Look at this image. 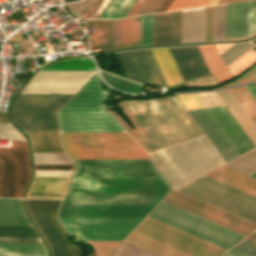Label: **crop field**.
I'll use <instances>...</instances> for the list:
<instances>
[{
  "mask_svg": "<svg viewBox=\"0 0 256 256\" xmlns=\"http://www.w3.org/2000/svg\"><path fill=\"white\" fill-rule=\"evenodd\" d=\"M65 193H169L172 186L152 160H72Z\"/></svg>",
  "mask_w": 256,
  "mask_h": 256,
  "instance_id": "obj_1",
  "label": "crop field"
},
{
  "mask_svg": "<svg viewBox=\"0 0 256 256\" xmlns=\"http://www.w3.org/2000/svg\"><path fill=\"white\" fill-rule=\"evenodd\" d=\"M149 154L176 189L224 163L205 135Z\"/></svg>",
  "mask_w": 256,
  "mask_h": 256,
  "instance_id": "obj_2",
  "label": "crop field"
},
{
  "mask_svg": "<svg viewBox=\"0 0 256 256\" xmlns=\"http://www.w3.org/2000/svg\"><path fill=\"white\" fill-rule=\"evenodd\" d=\"M95 76L98 86H86ZM95 78L88 85H97ZM97 72L58 111L60 132H125L103 109Z\"/></svg>",
  "mask_w": 256,
  "mask_h": 256,
  "instance_id": "obj_3",
  "label": "crop field"
},
{
  "mask_svg": "<svg viewBox=\"0 0 256 256\" xmlns=\"http://www.w3.org/2000/svg\"><path fill=\"white\" fill-rule=\"evenodd\" d=\"M70 159H150L127 133H60Z\"/></svg>",
  "mask_w": 256,
  "mask_h": 256,
  "instance_id": "obj_4",
  "label": "crop field"
},
{
  "mask_svg": "<svg viewBox=\"0 0 256 256\" xmlns=\"http://www.w3.org/2000/svg\"><path fill=\"white\" fill-rule=\"evenodd\" d=\"M256 224V198L206 176L178 189Z\"/></svg>",
  "mask_w": 256,
  "mask_h": 256,
  "instance_id": "obj_5",
  "label": "crop field"
},
{
  "mask_svg": "<svg viewBox=\"0 0 256 256\" xmlns=\"http://www.w3.org/2000/svg\"><path fill=\"white\" fill-rule=\"evenodd\" d=\"M72 94H19L11 115L23 130H58L56 112Z\"/></svg>",
  "mask_w": 256,
  "mask_h": 256,
  "instance_id": "obj_6",
  "label": "crop field"
},
{
  "mask_svg": "<svg viewBox=\"0 0 256 256\" xmlns=\"http://www.w3.org/2000/svg\"><path fill=\"white\" fill-rule=\"evenodd\" d=\"M149 217L226 249L244 237L163 201L159 203Z\"/></svg>",
  "mask_w": 256,
  "mask_h": 256,
  "instance_id": "obj_7",
  "label": "crop field"
},
{
  "mask_svg": "<svg viewBox=\"0 0 256 256\" xmlns=\"http://www.w3.org/2000/svg\"><path fill=\"white\" fill-rule=\"evenodd\" d=\"M143 218H59L76 240H123Z\"/></svg>",
  "mask_w": 256,
  "mask_h": 256,
  "instance_id": "obj_8",
  "label": "crop field"
},
{
  "mask_svg": "<svg viewBox=\"0 0 256 256\" xmlns=\"http://www.w3.org/2000/svg\"><path fill=\"white\" fill-rule=\"evenodd\" d=\"M135 231L194 256H219L226 250L149 217Z\"/></svg>",
  "mask_w": 256,
  "mask_h": 256,
  "instance_id": "obj_9",
  "label": "crop field"
},
{
  "mask_svg": "<svg viewBox=\"0 0 256 256\" xmlns=\"http://www.w3.org/2000/svg\"><path fill=\"white\" fill-rule=\"evenodd\" d=\"M29 177L26 142L0 148V197H20Z\"/></svg>",
  "mask_w": 256,
  "mask_h": 256,
  "instance_id": "obj_10",
  "label": "crop field"
},
{
  "mask_svg": "<svg viewBox=\"0 0 256 256\" xmlns=\"http://www.w3.org/2000/svg\"><path fill=\"white\" fill-rule=\"evenodd\" d=\"M176 96L179 98L186 110L204 107L195 94ZM188 112L225 161L240 155L206 108L190 110Z\"/></svg>",
  "mask_w": 256,
  "mask_h": 256,
  "instance_id": "obj_11",
  "label": "crop field"
},
{
  "mask_svg": "<svg viewBox=\"0 0 256 256\" xmlns=\"http://www.w3.org/2000/svg\"><path fill=\"white\" fill-rule=\"evenodd\" d=\"M163 201L240 233L244 236L256 228V225L232 216L221 210L213 208L190 197L173 192L167 195Z\"/></svg>",
  "mask_w": 256,
  "mask_h": 256,
  "instance_id": "obj_12",
  "label": "crop field"
},
{
  "mask_svg": "<svg viewBox=\"0 0 256 256\" xmlns=\"http://www.w3.org/2000/svg\"><path fill=\"white\" fill-rule=\"evenodd\" d=\"M94 71H38L21 93H74Z\"/></svg>",
  "mask_w": 256,
  "mask_h": 256,
  "instance_id": "obj_13",
  "label": "crop field"
},
{
  "mask_svg": "<svg viewBox=\"0 0 256 256\" xmlns=\"http://www.w3.org/2000/svg\"><path fill=\"white\" fill-rule=\"evenodd\" d=\"M166 194H65L61 205H157Z\"/></svg>",
  "mask_w": 256,
  "mask_h": 256,
  "instance_id": "obj_14",
  "label": "crop field"
},
{
  "mask_svg": "<svg viewBox=\"0 0 256 256\" xmlns=\"http://www.w3.org/2000/svg\"><path fill=\"white\" fill-rule=\"evenodd\" d=\"M256 30V0L226 4V38L245 37Z\"/></svg>",
  "mask_w": 256,
  "mask_h": 256,
  "instance_id": "obj_15",
  "label": "crop field"
},
{
  "mask_svg": "<svg viewBox=\"0 0 256 256\" xmlns=\"http://www.w3.org/2000/svg\"><path fill=\"white\" fill-rule=\"evenodd\" d=\"M126 240L163 256H192L133 231ZM124 240L110 256H160Z\"/></svg>",
  "mask_w": 256,
  "mask_h": 256,
  "instance_id": "obj_16",
  "label": "crop field"
},
{
  "mask_svg": "<svg viewBox=\"0 0 256 256\" xmlns=\"http://www.w3.org/2000/svg\"><path fill=\"white\" fill-rule=\"evenodd\" d=\"M155 206H61L58 217H145Z\"/></svg>",
  "mask_w": 256,
  "mask_h": 256,
  "instance_id": "obj_17",
  "label": "crop field"
},
{
  "mask_svg": "<svg viewBox=\"0 0 256 256\" xmlns=\"http://www.w3.org/2000/svg\"><path fill=\"white\" fill-rule=\"evenodd\" d=\"M57 213H31L49 242L53 256H80L81 249L68 243L56 218Z\"/></svg>",
  "mask_w": 256,
  "mask_h": 256,
  "instance_id": "obj_18",
  "label": "crop field"
},
{
  "mask_svg": "<svg viewBox=\"0 0 256 256\" xmlns=\"http://www.w3.org/2000/svg\"><path fill=\"white\" fill-rule=\"evenodd\" d=\"M115 54L127 78L162 86L144 50Z\"/></svg>",
  "mask_w": 256,
  "mask_h": 256,
  "instance_id": "obj_19",
  "label": "crop field"
},
{
  "mask_svg": "<svg viewBox=\"0 0 256 256\" xmlns=\"http://www.w3.org/2000/svg\"><path fill=\"white\" fill-rule=\"evenodd\" d=\"M181 43V11L153 15V45Z\"/></svg>",
  "mask_w": 256,
  "mask_h": 256,
  "instance_id": "obj_20",
  "label": "crop field"
},
{
  "mask_svg": "<svg viewBox=\"0 0 256 256\" xmlns=\"http://www.w3.org/2000/svg\"><path fill=\"white\" fill-rule=\"evenodd\" d=\"M169 49L185 81L210 73L197 46Z\"/></svg>",
  "mask_w": 256,
  "mask_h": 256,
  "instance_id": "obj_21",
  "label": "crop field"
},
{
  "mask_svg": "<svg viewBox=\"0 0 256 256\" xmlns=\"http://www.w3.org/2000/svg\"><path fill=\"white\" fill-rule=\"evenodd\" d=\"M237 150L241 153L255 147L225 106L207 108Z\"/></svg>",
  "mask_w": 256,
  "mask_h": 256,
  "instance_id": "obj_22",
  "label": "crop field"
},
{
  "mask_svg": "<svg viewBox=\"0 0 256 256\" xmlns=\"http://www.w3.org/2000/svg\"><path fill=\"white\" fill-rule=\"evenodd\" d=\"M70 176H36L27 198H62Z\"/></svg>",
  "mask_w": 256,
  "mask_h": 256,
  "instance_id": "obj_23",
  "label": "crop field"
},
{
  "mask_svg": "<svg viewBox=\"0 0 256 256\" xmlns=\"http://www.w3.org/2000/svg\"><path fill=\"white\" fill-rule=\"evenodd\" d=\"M205 41V7L182 11V43Z\"/></svg>",
  "mask_w": 256,
  "mask_h": 256,
  "instance_id": "obj_24",
  "label": "crop field"
},
{
  "mask_svg": "<svg viewBox=\"0 0 256 256\" xmlns=\"http://www.w3.org/2000/svg\"><path fill=\"white\" fill-rule=\"evenodd\" d=\"M216 94L256 146V124L229 90L217 91Z\"/></svg>",
  "mask_w": 256,
  "mask_h": 256,
  "instance_id": "obj_25",
  "label": "crop field"
},
{
  "mask_svg": "<svg viewBox=\"0 0 256 256\" xmlns=\"http://www.w3.org/2000/svg\"><path fill=\"white\" fill-rule=\"evenodd\" d=\"M206 176L256 197V180L248 176L240 174L224 166L214 170Z\"/></svg>",
  "mask_w": 256,
  "mask_h": 256,
  "instance_id": "obj_26",
  "label": "crop field"
},
{
  "mask_svg": "<svg viewBox=\"0 0 256 256\" xmlns=\"http://www.w3.org/2000/svg\"><path fill=\"white\" fill-rule=\"evenodd\" d=\"M150 51L168 87L184 81L168 48Z\"/></svg>",
  "mask_w": 256,
  "mask_h": 256,
  "instance_id": "obj_27",
  "label": "crop field"
},
{
  "mask_svg": "<svg viewBox=\"0 0 256 256\" xmlns=\"http://www.w3.org/2000/svg\"><path fill=\"white\" fill-rule=\"evenodd\" d=\"M94 34H88L91 49L100 47L101 51L113 49V20H92Z\"/></svg>",
  "mask_w": 256,
  "mask_h": 256,
  "instance_id": "obj_28",
  "label": "crop field"
},
{
  "mask_svg": "<svg viewBox=\"0 0 256 256\" xmlns=\"http://www.w3.org/2000/svg\"><path fill=\"white\" fill-rule=\"evenodd\" d=\"M0 225L30 226L22 212L20 199H0Z\"/></svg>",
  "mask_w": 256,
  "mask_h": 256,
  "instance_id": "obj_29",
  "label": "crop field"
},
{
  "mask_svg": "<svg viewBox=\"0 0 256 256\" xmlns=\"http://www.w3.org/2000/svg\"><path fill=\"white\" fill-rule=\"evenodd\" d=\"M205 62L216 80L222 84L234 78L223 66L214 45L198 46Z\"/></svg>",
  "mask_w": 256,
  "mask_h": 256,
  "instance_id": "obj_30",
  "label": "crop field"
},
{
  "mask_svg": "<svg viewBox=\"0 0 256 256\" xmlns=\"http://www.w3.org/2000/svg\"><path fill=\"white\" fill-rule=\"evenodd\" d=\"M117 104L124 112V114L129 118L135 128L134 130L128 131V133L141 145V147L146 152L158 149V146L155 144V142L152 140V138L149 136V134L146 132V130L128 108V106L125 104V102L122 100Z\"/></svg>",
  "mask_w": 256,
  "mask_h": 256,
  "instance_id": "obj_31",
  "label": "crop field"
},
{
  "mask_svg": "<svg viewBox=\"0 0 256 256\" xmlns=\"http://www.w3.org/2000/svg\"><path fill=\"white\" fill-rule=\"evenodd\" d=\"M32 140L33 149H62L58 131H25Z\"/></svg>",
  "mask_w": 256,
  "mask_h": 256,
  "instance_id": "obj_32",
  "label": "crop field"
},
{
  "mask_svg": "<svg viewBox=\"0 0 256 256\" xmlns=\"http://www.w3.org/2000/svg\"><path fill=\"white\" fill-rule=\"evenodd\" d=\"M0 256H46L43 245L0 244Z\"/></svg>",
  "mask_w": 256,
  "mask_h": 256,
  "instance_id": "obj_33",
  "label": "crop field"
},
{
  "mask_svg": "<svg viewBox=\"0 0 256 256\" xmlns=\"http://www.w3.org/2000/svg\"><path fill=\"white\" fill-rule=\"evenodd\" d=\"M224 166L248 176L256 173V148L232 160ZM251 177L256 179V174L252 175Z\"/></svg>",
  "mask_w": 256,
  "mask_h": 256,
  "instance_id": "obj_34",
  "label": "crop field"
},
{
  "mask_svg": "<svg viewBox=\"0 0 256 256\" xmlns=\"http://www.w3.org/2000/svg\"><path fill=\"white\" fill-rule=\"evenodd\" d=\"M140 46V21L123 19V48Z\"/></svg>",
  "mask_w": 256,
  "mask_h": 256,
  "instance_id": "obj_35",
  "label": "crop field"
},
{
  "mask_svg": "<svg viewBox=\"0 0 256 256\" xmlns=\"http://www.w3.org/2000/svg\"><path fill=\"white\" fill-rule=\"evenodd\" d=\"M94 63L87 57L52 63L41 70H95Z\"/></svg>",
  "mask_w": 256,
  "mask_h": 256,
  "instance_id": "obj_36",
  "label": "crop field"
},
{
  "mask_svg": "<svg viewBox=\"0 0 256 256\" xmlns=\"http://www.w3.org/2000/svg\"><path fill=\"white\" fill-rule=\"evenodd\" d=\"M137 0H112L100 18L126 17Z\"/></svg>",
  "mask_w": 256,
  "mask_h": 256,
  "instance_id": "obj_37",
  "label": "crop field"
},
{
  "mask_svg": "<svg viewBox=\"0 0 256 256\" xmlns=\"http://www.w3.org/2000/svg\"><path fill=\"white\" fill-rule=\"evenodd\" d=\"M225 40V4L213 6V41Z\"/></svg>",
  "mask_w": 256,
  "mask_h": 256,
  "instance_id": "obj_38",
  "label": "crop field"
},
{
  "mask_svg": "<svg viewBox=\"0 0 256 256\" xmlns=\"http://www.w3.org/2000/svg\"><path fill=\"white\" fill-rule=\"evenodd\" d=\"M100 72L105 82L119 90H123L130 93H140L143 88V85L132 83L130 81L121 79L119 77L107 74L102 71Z\"/></svg>",
  "mask_w": 256,
  "mask_h": 256,
  "instance_id": "obj_39",
  "label": "crop field"
},
{
  "mask_svg": "<svg viewBox=\"0 0 256 256\" xmlns=\"http://www.w3.org/2000/svg\"><path fill=\"white\" fill-rule=\"evenodd\" d=\"M231 91L256 123V102L253 100L244 86L232 88Z\"/></svg>",
  "mask_w": 256,
  "mask_h": 256,
  "instance_id": "obj_40",
  "label": "crop field"
},
{
  "mask_svg": "<svg viewBox=\"0 0 256 256\" xmlns=\"http://www.w3.org/2000/svg\"><path fill=\"white\" fill-rule=\"evenodd\" d=\"M61 200H27L29 212H57Z\"/></svg>",
  "mask_w": 256,
  "mask_h": 256,
  "instance_id": "obj_41",
  "label": "crop field"
},
{
  "mask_svg": "<svg viewBox=\"0 0 256 256\" xmlns=\"http://www.w3.org/2000/svg\"><path fill=\"white\" fill-rule=\"evenodd\" d=\"M0 236L38 238L32 227L0 226Z\"/></svg>",
  "mask_w": 256,
  "mask_h": 256,
  "instance_id": "obj_42",
  "label": "crop field"
},
{
  "mask_svg": "<svg viewBox=\"0 0 256 256\" xmlns=\"http://www.w3.org/2000/svg\"><path fill=\"white\" fill-rule=\"evenodd\" d=\"M35 164H71L65 153H33Z\"/></svg>",
  "mask_w": 256,
  "mask_h": 256,
  "instance_id": "obj_43",
  "label": "crop field"
},
{
  "mask_svg": "<svg viewBox=\"0 0 256 256\" xmlns=\"http://www.w3.org/2000/svg\"><path fill=\"white\" fill-rule=\"evenodd\" d=\"M252 46L253 45L249 44L248 42L234 44L223 54H221L220 57L224 65L227 66L229 63H231L234 59H236L238 56H240L242 53H244Z\"/></svg>",
  "mask_w": 256,
  "mask_h": 256,
  "instance_id": "obj_44",
  "label": "crop field"
},
{
  "mask_svg": "<svg viewBox=\"0 0 256 256\" xmlns=\"http://www.w3.org/2000/svg\"><path fill=\"white\" fill-rule=\"evenodd\" d=\"M94 248L96 256H108L121 241H83Z\"/></svg>",
  "mask_w": 256,
  "mask_h": 256,
  "instance_id": "obj_45",
  "label": "crop field"
},
{
  "mask_svg": "<svg viewBox=\"0 0 256 256\" xmlns=\"http://www.w3.org/2000/svg\"><path fill=\"white\" fill-rule=\"evenodd\" d=\"M152 45V15L141 16V46Z\"/></svg>",
  "mask_w": 256,
  "mask_h": 256,
  "instance_id": "obj_46",
  "label": "crop field"
},
{
  "mask_svg": "<svg viewBox=\"0 0 256 256\" xmlns=\"http://www.w3.org/2000/svg\"><path fill=\"white\" fill-rule=\"evenodd\" d=\"M0 140L25 141L24 137L10 123H0Z\"/></svg>",
  "mask_w": 256,
  "mask_h": 256,
  "instance_id": "obj_47",
  "label": "crop field"
},
{
  "mask_svg": "<svg viewBox=\"0 0 256 256\" xmlns=\"http://www.w3.org/2000/svg\"><path fill=\"white\" fill-rule=\"evenodd\" d=\"M193 1L194 0H174L167 11L189 8ZM209 1L210 0H195L190 8L207 5Z\"/></svg>",
  "mask_w": 256,
  "mask_h": 256,
  "instance_id": "obj_48",
  "label": "crop field"
},
{
  "mask_svg": "<svg viewBox=\"0 0 256 256\" xmlns=\"http://www.w3.org/2000/svg\"><path fill=\"white\" fill-rule=\"evenodd\" d=\"M162 2L163 0H144L134 16L155 13Z\"/></svg>",
  "mask_w": 256,
  "mask_h": 256,
  "instance_id": "obj_49",
  "label": "crop field"
},
{
  "mask_svg": "<svg viewBox=\"0 0 256 256\" xmlns=\"http://www.w3.org/2000/svg\"><path fill=\"white\" fill-rule=\"evenodd\" d=\"M97 0H83L76 4L67 6L71 14L80 15L83 11H89ZM75 16V15H73Z\"/></svg>",
  "mask_w": 256,
  "mask_h": 256,
  "instance_id": "obj_50",
  "label": "crop field"
},
{
  "mask_svg": "<svg viewBox=\"0 0 256 256\" xmlns=\"http://www.w3.org/2000/svg\"><path fill=\"white\" fill-rule=\"evenodd\" d=\"M232 248L249 256H256V244L249 242L245 239L240 241Z\"/></svg>",
  "mask_w": 256,
  "mask_h": 256,
  "instance_id": "obj_51",
  "label": "crop field"
},
{
  "mask_svg": "<svg viewBox=\"0 0 256 256\" xmlns=\"http://www.w3.org/2000/svg\"><path fill=\"white\" fill-rule=\"evenodd\" d=\"M122 48V19L114 20V49Z\"/></svg>",
  "mask_w": 256,
  "mask_h": 256,
  "instance_id": "obj_52",
  "label": "crop field"
},
{
  "mask_svg": "<svg viewBox=\"0 0 256 256\" xmlns=\"http://www.w3.org/2000/svg\"><path fill=\"white\" fill-rule=\"evenodd\" d=\"M253 80H256V66L253 67L251 70H249L247 73H245L240 78H238L220 88L235 85V84H240V83H244V82H248V81H253ZM216 89H219V88H216ZM212 90H214V89H212Z\"/></svg>",
  "mask_w": 256,
  "mask_h": 256,
  "instance_id": "obj_53",
  "label": "crop field"
},
{
  "mask_svg": "<svg viewBox=\"0 0 256 256\" xmlns=\"http://www.w3.org/2000/svg\"><path fill=\"white\" fill-rule=\"evenodd\" d=\"M206 41H212V6L206 7Z\"/></svg>",
  "mask_w": 256,
  "mask_h": 256,
  "instance_id": "obj_54",
  "label": "crop field"
},
{
  "mask_svg": "<svg viewBox=\"0 0 256 256\" xmlns=\"http://www.w3.org/2000/svg\"><path fill=\"white\" fill-rule=\"evenodd\" d=\"M111 0H101L89 18H99Z\"/></svg>",
  "mask_w": 256,
  "mask_h": 256,
  "instance_id": "obj_55",
  "label": "crop field"
},
{
  "mask_svg": "<svg viewBox=\"0 0 256 256\" xmlns=\"http://www.w3.org/2000/svg\"><path fill=\"white\" fill-rule=\"evenodd\" d=\"M0 242H27V243H41L40 239H28V238H4V237H0Z\"/></svg>",
  "mask_w": 256,
  "mask_h": 256,
  "instance_id": "obj_56",
  "label": "crop field"
},
{
  "mask_svg": "<svg viewBox=\"0 0 256 256\" xmlns=\"http://www.w3.org/2000/svg\"><path fill=\"white\" fill-rule=\"evenodd\" d=\"M36 169L72 170L73 165H35Z\"/></svg>",
  "mask_w": 256,
  "mask_h": 256,
  "instance_id": "obj_57",
  "label": "crop field"
},
{
  "mask_svg": "<svg viewBox=\"0 0 256 256\" xmlns=\"http://www.w3.org/2000/svg\"><path fill=\"white\" fill-rule=\"evenodd\" d=\"M71 171L36 170V175H70Z\"/></svg>",
  "mask_w": 256,
  "mask_h": 256,
  "instance_id": "obj_58",
  "label": "crop field"
},
{
  "mask_svg": "<svg viewBox=\"0 0 256 256\" xmlns=\"http://www.w3.org/2000/svg\"><path fill=\"white\" fill-rule=\"evenodd\" d=\"M145 51H146V53H147V55H148V57H149V59H150L152 65H153V67H154V69H155V71H156V73H157V75H158V77H159V79H160L162 85L165 86V87H167L166 84H165V82H164V80H163V78H162V76H161V74H160V72H159V70H158V67H157V65H156V63H155V61H154V59H153V57H152L150 51H149V50H145Z\"/></svg>",
  "mask_w": 256,
  "mask_h": 256,
  "instance_id": "obj_59",
  "label": "crop field"
},
{
  "mask_svg": "<svg viewBox=\"0 0 256 256\" xmlns=\"http://www.w3.org/2000/svg\"><path fill=\"white\" fill-rule=\"evenodd\" d=\"M17 42H18V44H19V46L21 47L22 50H27V49H33L34 48L29 39L18 40Z\"/></svg>",
  "mask_w": 256,
  "mask_h": 256,
  "instance_id": "obj_60",
  "label": "crop field"
},
{
  "mask_svg": "<svg viewBox=\"0 0 256 256\" xmlns=\"http://www.w3.org/2000/svg\"><path fill=\"white\" fill-rule=\"evenodd\" d=\"M245 87L256 101V83L245 85Z\"/></svg>",
  "mask_w": 256,
  "mask_h": 256,
  "instance_id": "obj_61",
  "label": "crop field"
},
{
  "mask_svg": "<svg viewBox=\"0 0 256 256\" xmlns=\"http://www.w3.org/2000/svg\"><path fill=\"white\" fill-rule=\"evenodd\" d=\"M172 1L173 0H164L159 9L156 11V13L166 11V9L169 7Z\"/></svg>",
  "mask_w": 256,
  "mask_h": 256,
  "instance_id": "obj_62",
  "label": "crop field"
},
{
  "mask_svg": "<svg viewBox=\"0 0 256 256\" xmlns=\"http://www.w3.org/2000/svg\"><path fill=\"white\" fill-rule=\"evenodd\" d=\"M225 254V253H224ZM223 254V255H224ZM224 256H246V255H244V254H241V253H239V252H237V251H234V250H230V251H228Z\"/></svg>",
  "mask_w": 256,
  "mask_h": 256,
  "instance_id": "obj_63",
  "label": "crop field"
},
{
  "mask_svg": "<svg viewBox=\"0 0 256 256\" xmlns=\"http://www.w3.org/2000/svg\"><path fill=\"white\" fill-rule=\"evenodd\" d=\"M143 0H138L137 3L134 5V7L132 8V10L130 11V13L127 15V17L132 16L133 13L136 11V9L139 7V5L141 4Z\"/></svg>",
  "mask_w": 256,
  "mask_h": 256,
  "instance_id": "obj_64",
  "label": "crop field"
},
{
  "mask_svg": "<svg viewBox=\"0 0 256 256\" xmlns=\"http://www.w3.org/2000/svg\"><path fill=\"white\" fill-rule=\"evenodd\" d=\"M256 232V231H255ZM253 232L252 234H250L248 237H246L245 239L252 241L254 243H256V233Z\"/></svg>",
  "mask_w": 256,
  "mask_h": 256,
  "instance_id": "obj_65",
  "label": "crop field"
},
{
  "mask_svg": "<svg viewBox=\"0 0 256 256\" xmlns=\"http://www.w3.org/2000/svg\"><path fill=\"white\" fill-rule=\"evenodd\" d=\"M0 122H9L6 116H0Z\"/></svg>",
  "mask_w": 256,
  "mask_h": 256,
  "instance_id": "obj_66",
  "label": "crop field"
},
{
  "mask_svg": "<svg viewBox=\"0 0 256 256\" xmlns=\"http://www.w3.org/2000/svg\"><path fill=\"white\" fill-rule=\"evenodd\" d=\"M218 1H219V0H211V1L208 3V5L217 4Z\"/></svg>",
  "mask_w": 256,
  "mask_h": 256,
  "instance_id": "obj_67",
  "label": "crop field"
},
{
  "mask_svg": "<svg viewBox=\"0 0 256 256\" xmlns=\"http://www.w3.org/2000/svg\"><path fill=\"white\" fill-rule=\"evenodd\" d=\"M227 2V0H220L219 2H218V4H222V3H226Z\"/></svg>",
  "mask_w": 256,
  "mask_h": 256,
  "instance_id": "obj_68",
  "label": "crop field"
},
{
  "mask_svg": "<svg viewBox=\"0 0 256 256\" xmlns=\"http://www.w3.org/2000/svg\"><path fill=\"white\" fill-rule=\"evenodd\" d=\"M236 1H243V0H229L228 3L229 2H236Z\"/></svg>",
  "mask_w": 256,
  "mask_h": 256,
  "instance_id": "obj_69",
  "label": "crop field"
}]
</instances>
